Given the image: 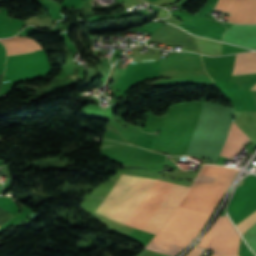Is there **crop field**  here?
<instances>
[{"label":"crop field","instance_id":"crop-field-1","mask_svg":"<svg viewBox=\"0 0 256 256\" xmlns=\"http://www.w3.org/2000/svg\"><path fill=\"white\" fill-rule=\"evenodd\" d=\"M237 170L203 165L187 186L149 177L123 175L97 211L136 227L157 233L178 205L179 208L211 213L231 184ZM176 208L147 249L173 255L198 235L209 213Z\"/></svg>","mask_w":256,"mask_h":256},{"label":"crop field","instance_id":"crop-field-2","mask_svg":"<svg viewBox=\"0 0 256 256\" xmlns=\"http://www.w3.org/2000/svg\"><path fill=\"white\" fill-rule=\"evenodd\" d=\"M254 211H256V175H249L236 188L228 206V214L236 225ZM255 223L256 212L238 224L237 228L243 235Z\"/></svg>","mask_w":256,"mask_h":256},{"label":"crop field","instance_id":"crop-field-3","mask_svg":"<svg viewBox=\"0 0 256 256\" xmlns=\"http://www.w3.org/2000/svg\"><path fill=\"white\" fill-rule=\"evenodd\" d=\"M52 71L43 50L7 56L3 81L46 74Z\"/></svg>","mask_w":256,"mask_h":256},{"label":"crop field","instance_id":"crop-field-4","mask_svg":"<svg viewBox=\"0 0 256 256\" xmlns=\"http://www.w3.org/2000/svg\"><path fill=\"white\" fill-rule=\"evenodd\" d=\"M249 137L232 122L220 156L233 158L249 141Z\"/></svg>","mask_w":256,"mask_h":256},{"label":"crop field","instance_id":"crop-field-5","mask_svg":"<svg viewBox=\"0 0 256 256\" xmlns=\"http://www.w3.org/2000/svg\"><path fill=\"white\" fill-rule=\"evenodd\" d=\"M0 41L5 45L7 53L39 48V46L32 40L6 39Z\"/></svg>","mask_w":256,"mask_h":256},{"label":"crop field","instance_id":"crop-field-6","mask_svg":"<svg viewBox=\"0 0 256 256\" xmlns=\"http://www.w3.org/2000/svg\"><path fill=\"white\" fill-rule=\"evenodd\" d=\"M256 68V51L236 54L234 70Z\"/></svg>","mask_w":256,"mask_h":256},{"label":"crop field","instance_id":"crop-field-7","mask_svg":"<svg viewBox=\"0 0 256 256\" xmlns=\"http://www.w3.org/2000/svg\"><path fill=\"white\" fill-rule=\"evenodd\" d=\"M201 251V249L193 247L192 250L186 256H199Z\"/></svg>","mask_w":256,"mask_h":256},{"label":"crop field","instance_id":"crop-field-8","mask_svg":"<svg viewBox=\"0 0 256 256\" xmlns=\"http://www.w3.org/2000/svg\"><path fill=\"white\" fill-rule=\"evenodd\" d=\"M250 90H256V85L254 87H252Z\"/></svg>","mask_w":256,"mask_h":256},{"label":"crop field","instance_id":"crop-field-9","mask_svg":"<svg viewBox=\"0 0 256 256\" xmlns=\"http://www.w3.org/2000/svg\"><path fill=\"white\" fill-rule=\"evenodd\" d=\"M228 256H239V255H228Z\"/></svg>","mask_w":256,"mask_h":256}]
</instances>
